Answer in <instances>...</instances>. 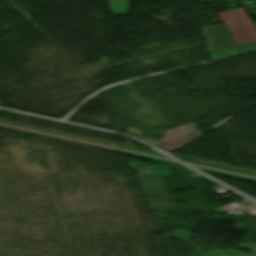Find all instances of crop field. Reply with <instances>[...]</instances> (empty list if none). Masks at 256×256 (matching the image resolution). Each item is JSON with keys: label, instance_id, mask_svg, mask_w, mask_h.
<instances>
[{"label": "crop field", "instance_id": "obj_1", "mask_svg": "<svg viewBox=\"0 0 256 256\" xmlns=\"http://www.w3.org/2000/svg\"><path fill=\"white\" fill-rule=\"evenodd\" d=\"M171 236L177 239H180L186 243H190L187 239L194 235L179 227L173 234H171ZM193 247L201 254V256H256V242H243V243L236 244L235 247H238V248H249L252 253L249 255H246L242 251H235V250H224V251L201 253L195 246Z\"/></svg>", "mask_w": 256, "mask_h": 256}]
</instances>
